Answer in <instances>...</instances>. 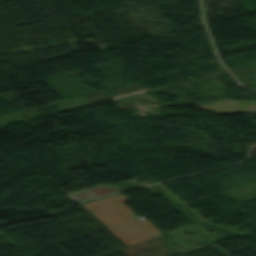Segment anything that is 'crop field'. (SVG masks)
<instances>
[{
    "mask_svg": "<svg viewBox=\"0 0 256 256\" xmlns=\"http://www.w3.org/2000/svg\"><path fill=\"white\" fill-rule=\"evenodd\" d=\"M122 195L104 198L81 205L85 210L92 211L105 222L114 235L125 245L160 235L148 220H137L122 201Z\"/></svg>",
    "mask_w": 256,
    "mask_h": 256,
    "instance_id": "8a807250",
    "label": "crop field"
}]
</instances>
